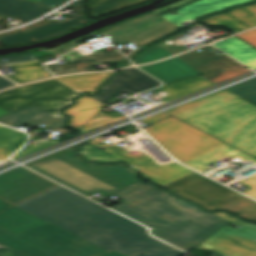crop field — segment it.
<instances>
[{"label":"crop field","instance_id":"crop-field-37","mask_svg":"<svg viewBox=\"0 0 256 256\" xmlns=\"http://www.w3.org/2000/svg\"><path fill=\"white\" fill-rule=\"evenodd\" d=\"M249 70L246 68L233 70V71H227V72H221V73H215V74H209V75H202L201 77L207 79L208 81L216 84L221 81L227 80L229 78L238 76L240 74L246 73ZM251 71V70H250Z\"/></svg>","mask_w":256,"mask_h":256},{"label":"crop field","instance_id":"crop-field-4","mask_svg":"<svg viewBox=\"0 0 256 256\" xmlns=\"http://www.w3.org/2000/svg\"><path fill=\"white\" fill-rule=\"evenodd\" d=\"M79 153L83 154L87 161L91 159H97L99 162L122 161L91 144H86ZM27 166L75 191L100 179L121 189L138 182L135 178V170L125 168L124 164H118L116 167L110 165L97 166L93 163L85 164L74 153Z\"/></svg>","mask_w":256,"mask_h":256},{"label":"crop field","instance_id":"crop-field-19","mask_svg":"<svg viewBox=\"0 0 256 256\" xmlns=\"http://www.w3.org/2000/svg\"><path fill=\"white\" fill-rule=\"evenodd\" d=\"M211 26H225L237 33L256 26V4L204 19Z\"/></svg>","mask_w":256,"mask_h":256},{"label":"crop field","instance_id":"crop-field-18","mask_svg":"<svg viewBox=\"0 0 256 256\" xmlns=\"http://www.w3.org/2000/svg\"><path fill=\"white\" fill-rule=\"evenodd\" d=\"M0 123L20 127L24 124L29 126L44 124L46 128L64 127L65 117L56 118L40 108L32 105L23 110L0 118Z\"/></svg>","mask_w":256,"mask_h":256},{"label":"crop field","instance_id":"crop-field-3","mask_svg":"<svg viewBox=\"0 0 256 256\" xmlns=\"http://www.w3.org/2000/svg\"><path fill=\"white\" fill-rule=\"evenodd\" d=\"M133 219L152 227V235L185 252L229 223L180 198Z\"/></svg>","mask_w":256,"mask_h":256},{"label":"crop field","instance_id":"crop-field-16","mask_svg":"<svg viewBox=\"0 0 256 256\" xmlns=\"http://www.w3.org/2000/svg\"><path fill=\"white\" fill-rule=\"evenodd\" d=\"M67 32L64 28L44 19L22 29L0 34V43L3 46H15L53 38Z\"/></svg>","mask_w":256,"mask_h":256},{"label":"crop field","instance_id":"crop-field-28","mask_svg":"<svg viewBox=\"0 0 256 256\" xmlns=\"http://www.w3.org/2000/svg\"><path fill=\"white\" fill-rule=\"evenodd\" d=\"M104 106L102 103L83 94L77 104L65 111V113L73 115L70 126L80 130Z\"/></svg>","mask_w":256,"mask_h":256},{"label":"crop field","instance_id":"crop-field-13","mask_svg":"<svg viewBox=\"0 0 256 256\" xmlns=\"http://www.w3.org/2000/svg\"><path fill=\"white\" fill-rule=\"evenodd\" d=\"M123 73L112 77L108 84L102 86L101 93L92 97L103 104L110 101L116 94L123 91L131 96L155 87L160 86V82L143 72L135 69L122 70Z\"/></svg>","mask_w":256,"mask_h":256},{"label":"crop field","instance_id":"crop-field-39","mask_svg":"<svg viewBox=\"0 0 256 256\" xmlns=\"http://www.w3.org/2000/svg\"><path fill=\"white\" fill-rule=\"evenodd\" d=\"M59 143V141L57 140H52V141H49V142H46V143H43V144H40V145H36V146H32V145H27L25 146L23 149H21L17 154H15L13 156L14 160H17L21 157H24L26 155H29L33 152H36L38 150H41V149H44L46 147H49L51 145H54V144H57Z\"/></svg>","mask_w":256,"mask_h":256},{"label":"crop field","instance_id":"crop-field-50","mask_svg":"<svg viewBox=\"0 0 256 256\" xmlns=\"http://www.w3.org/2000/svg\"><path fill=\"white\" fill-rule=\"evenodd\" d=\"M103 256H127V255H124V254H121L119 252H116V251H112L106 255H103Z\"/></svg>","mask_w":256,"mask_h":256},{"label":"crop field","instance_id":"crop-field-45","mask_svg":"<svg viewBox=\"0 0 256 256\" xmlns=\"http://www.w3.org/2000/svg\"><path fill=\"white\" fill-rule=\"evenodd\" d=\"M168 116H170V115L165 113V112H163V113H160V114L148 117L146 119H143V121L145 123H153L155 121H158V120L163 119V118L168 117Z\"/></svg>","mask_w":256,"mask_h":256},{"label":"crop field","instance_id":"crop-field-52","mask_svg":"<svg viewBox=\"0 0 256 256\" xmlns=\"http://www.w3.org/2000/svg\"><path fill=\"white\" fill-rule=\"evenodd\" d=\"M7 114H10V113L0 108V117Z\"/></svg>","mask_w":256,"mask_h":256},{"label":"crop field","instance_id":"crop-field-9","mask_svg":"<svg viewBox=\"0 0 256 256\" xmlns=\"http://www.w3.org/2000/svg\"><path fill=\"white\" fill-rule=\"evenodd\" d=\"M55 186L57 185L19 167L0 176V198L15 205Z\"/></svg>","mask_w":256,"mask_h":256},{"label":"crop field","instance_id":"crop-field-49","mask_svg":"<svg viewBox=\"0 0 256 256\" xmlns=\"http://www.w3.org/2000/svg\"><path fill=\"white\" fill-rule=\"evenodd\" d=\"M13 206L12 204L0 199V212L4 211L5 209Z\"/></svg>","mask_w":256,"mask_h":256},{"label":"crop field","instance_id":"crop-field-38","mask_svg":"<svg viewBox=\"0 0 256 256\" xmlns=\"http://www.w3.org/2000/svg\"><path fill=\"white\" fill-rule=\"evenodd\" d=\"M241 97L248 96L256 93V78L226 89Z\"/></svg>","mask_w":256,"mask_h":256},{"label":"crop field","instance_id":"crop-field-29","mask_svg":"<svg viewBox=\"0 0 256 256\" xmlns=\"http://www.w3.org/2000/svg\"><path fill=\"white\" fill-rule=\"evenodd\" d=\"M28 140V135L0 125V160H5Z\"/></svg>","mask_w":256,"mask_h":256},{"label":"crop field","instance_id":"crop-field-40","mask_svg":"<svg viewBox=\"0 0 256 256\" xmlns=\"http://www.w3.org/2000/svg\"><path fill=\"white\" fill-rule=\"evenodd\" d=\"M212 213H214L218 216H221L229 221H232V222L242 226L245 229H248V230L256 233V225H254V224H250V223H246L244 221L238 220V219L234 218L233 216L226 214V213H220V212H212Z\"/></svg>","mask_w":256,"mask_h":256},{"label":"crop field","instance_id":"crop-field-26","mask_svg":"<svg viewBox=\"0 0 256 256\" xmlns=\"http://www.w3.org/2000/svg\"><path fill=\"white\" fill-rule=\"evenodd\" d=\"M211 85L213 84L201 78L200 76H197V77L177 80V81L168 83V85L164 87L151 90V91L154 93H157L160 91L167 92L168 95L165 98L161 99L163 102L167 103L169 101L175 100L177 98H180L182 96L193 93L195 91H198L200 89H203Z\"/></svg>","mask_w":256,"mask_h":256},{"label":"crop field","instance_id":"crop-field-11","mask_svg":"<svg viewBox=\"0 0 256 256\" xmlns=\"http://www.w3.org/2000/svg\"><path fill=\"white\" fill-rule=\"evenodd\" d=\"M113 195L124 201L111 208L130 218L177 198L166 191H159L151 184L141 182Z\"/></svg>","mask_w":256,"mask_h":256},{"label":"crop field","instance_id":"crop-field-32","mask_svg":"<svg viewBox=\"0 0 256 256\" xmlns=\"http://www.w3.org/2000/svg\"><path fill=\"white\" fill-rule=\"evenodd\" d=\"M220 209L227 211H234L241 215V217L256 220V201L244 196Z\"/></svg>","mask_w":256,"mask_h":256},{"label":"crop field","instance_id":"crop-field-6","mask_svg":"<svg viewBox=\"0 0 256 256\" xmlns=\"http://www.w3.org/2000/svg\"><path fill=\"white\" fill-rule=\"evenodd\" d=\"M81 91L54 78L0 92V107L13 113L32 104L60 117V110L73 103Z\"/></svg>","mask_w":256,"mask_h":256},{"label":"crop field","instance_id":"crop-field-42","mask_svg":"<svg viewBox=\"0 0 256 256\" xmlns=\"http://www.w3.org/2000/svg\"><path fill=\"white\" fill-rule=\"evenodd\" d=\"M182 33H184V32H182ZM182 33H180V34H182ZM180 34H178V35H180ZM178 35H175V36H173V37H171V38H169V39H167V40L161 42L159 45H160L161 47H163L164 49L168 50L169 52H171V53L174 54V55H176V54H178V53H180V52L189 50L188 48H186V47H184V46H181V45H178V44H175V45H167V44L165 43L166 41L171 40V39L177 37ZM197 47H198V46H197ZM194 48H195V47H194ZM190 49H192V48H190Z\"/></svg>","mask_w":256,"mask_h":256},{"label":"crop field","instance_id":"crop-field-5","mask_svg":"<svg viewBox=\"0 0 256 256\" xmlns=\"http://www.w3.org/2000/svg\"><path fill=\"white\" fill-rule=\"evenodd\" d=\"M0 243L27 256H101L108 253L51 224L17 235L0 228Z\"/></svg>","mask_w":256,"mask_h":256},{"label":"crop field","instance_id":"crop-field-7","mask_svg":"<svg viewBox=\"0 0 256 256\" xmlns=\"http://www.w3.org/2000/svg\"><path fill=\"white\" fill-rule=\"evenodd\" d=\"M145 130L183 163L225 144L173 117Z\"/></svg>","mask_w":256,"mask_h":256},{"label":"crop field","instance_id":"crop-field-1","mask_svg":"<svg viewBox=\"0 0 256 256\" xmlns=\"http://www.w3.org/2000/svg\"><path fill=\"white\" fill-rule=\"evenodd\" d=\"M16 206L109 252L131 256L185 254L147 235L145 227L63 186Z\"/></svg>","mask_w":256,"mask_h":256},{"label":"crop field","instance_id":"crop-field-8","mask_svg":"<svg viewBox=\"0 0 256 256\" xmlns=\"http://www.w3.org/2000/svg\"><path fill=\"white\" fill-rule=\"evenodd\" d=\"M163 188L169 189L188 200L206 207L209 210H215L243 196L198 173Z\"/></svg>","mask_w":256,"mask_h":256},{"label":"crop field","instance_id":"crop-field-36","mask_svg":"<svg viewBox=\"0 0 256 256\" xmlns=\"http://www.w3.org/2000/svg\"><path fill=\"white\" fill-rule=\"evenodd\" d=\"M119 190L120 189H118V188H116V187H114V186H112V185H110V184L101 180V181H99L97 183H94V184H92V185H90V186H88V187H86V188H84V189H82L78 192L87 196V195H89L93 192L99 191V192L109 196V195H111V194H113V193H115Z\"/></svg>","mask_w":256,"mask_h":256},{"label":"crop field","instance_id":"crop-field-21","mask_svg":"<svg viewBox=\"0 0 256 256\" xmlns=\"http://www.w3.org/2000/svg\"><path fill=\"white\" fill-rule=\"evenodd\" d=\"M124 59H126V57L116 51L108 53L101 51L77 59L69 60L70 63L67 64L48 67V69L55 75L80 71H95L89 65L119 61Z\"/></svg>","mask_w":256,"mask_h":256},{"label":"crop field","instance_id":"crop-field-22","mask_svg":"<svg viewBox=\"0 0 256 256\" xmlns=\"http://www.w3.org/2000/svg\"><path fill=\"white\" fill-rule=\"evenodd\" d=\"M141 68L165 83L186 76L201 75L200 72L196 71L176 57L156 64L141 66Z\"/></svg>","mask_w":256,"mask_h":256},{"label":"crop field","instance_id":"crop-field-14","mask_svg":"<svg viewBox=\"0 0 256 256\" xmlns=\"http://www.w3.org/2000/svg\"><path fill=\"white\" fill-rule=\"evenodd\" d=\"M2 59L7 61L3 62ZM5 65L15 71L14 75L8 78L18 83L51 76L31 53L0 57V66ZM11 86L15 84L3 77L0 78V90Z\"/></svg>","mask_w":256,"mask_h":256},{"label":"crop field","instance_id":"crop-field-23","mask_svg":"<svg viewBox=\"0 0 256 256\" xmlns=\"http://www.w3.org/2000/svg\"><path fill=\"white\" fill-rule=\"evenodd\" d=\"M45 224L48 223L15 206L0 214V227L14 234Z\"/></svg>","mask_w":256,"mask_h":256},{"label":"crop field","instance_id":"crop-field-55","mask_svg":"<svg viewBox=\"0 0 256 256\" xmlns=\"http://www.w3.org/2000/svg\"><path fill=\"white\" fill-rule=\"evenodd\" d=\"M4 19H6V18L0 16V21H1V20H4Z\"/></svg>","mask_w":256,"mask_h":256},{"label":"crop field","instance_id":"crop-field-31","mask_svg":"<svg viewBox=\"0 0 256 256\" xmlns=\"http://www.w3.org/2000/svg\"><path fill=\"white\" fill-rule=\"evenodd\" d=\"M150 0H90L87 3L92 10L91 17L106 15Z\"/></svg>","mask_w":256,"mask_h":256},{"label":"crop field","instance_id":"crop-field-53","mask_svg":"<svg viewBox=\"0 0 256 256\" xmlns=\"http://www.w3.org/2000/svg\"><path fill=\"white\" fill-rule=\"evenodd\" d=\"M131 65H132L131 62L129 61V62L125 63V64H121L118 68L125 67V66H131Z\"/></svg>","mask_w":256,"mask_h":256},{"label":"crop field","instance_id":"crop-field-2","mask_svg":"<svg viewBox=\"0 0 256 256\" xmlns=\"http://www.w3.org/2000/svg\"><path fill=\"white\" fill-rule=\"evenodd\" d=\"M256 158V105L226 90L166 111Z\"/></svg>","mask_w":256,"mask_h":256},{"label":"crop field","instance_id":"crop-field-25","mask_svg":"<svg viewBox=\"0 0 256 256\" xmlns=\"http://www.w3.org/2000/svg\"><path fill=\"white\" fill-rule=\"evenodd\" d=\"M178 28L179 27L165 20L163 22L157 23L155 25L149 26L147 28L141 29L139 31L112 40V42L117 45L134 42L136 44L143 46L151 40L164 36Z\"/></svg>","mask_w":256,"mask_h":256},{"label":"crop field","instance_id":"crop-field-20","mask_svg":"<svg viewBox=\"0 0 256 256\" xmlns=\"http://www.w3.org/2000/svg\"><path fill=\"white\" fill-rule=\"evenodd\" d=\"M252 0H201L192 5L177 10L179 14H166L162 17L166 18L175 25H180L182 22L194 19L202 14L226 9L240 3L249 2Z\"/></svg>","mask_w":256,"mask_h":256},{"label":"crop field","instance_id":"crop-field-30","mask_svg":"<svg viewBox=\"0 0 256 256\" xmlns=\"http://www.w3.org/2000/svg\"><path fill=\"white\" fill-rule=\"evenodd\" d=\"M115 72H117V71H115ZM111 75H112V72L97 73V74H81V75L60 77L58 79L81 90L82 92L86 91L89 94H94V93H96L95 88L97 86H99L100 84L104 83L106 81V79Z\"/></svg>","mask_w":256,"mask_h":256},{"label":"crop field","instance_id":"crop-field-48","mask_svg":"<svg viewBox=\"0 0 256 256\" xmlns=\"http://www.w3.org/2000/svg\"><path fill=\"white\" fill-rule=\"evenodd\" d=\"M190 1H192V0H183V1L179 2V3L174 4V5L167 6V7H165V8L159 9V10H157V11H155V12H156V13H161V12H163V11H165V10H168V9H170V8H173V7H175V6H178V5H181V4L190 2Z\"/></svg>","mask_w":256,"mask_h":256},{"label":"crop field","instance_id":"crop-field-44","mask_svg":"<svg viewBox=\"0 0 256 256\" xmlns=\"http://www.w3.org/2000/svg\"><path fill=\"white\" fill-rule=\"evenodd\" d=\"M30 1L55 8L67 0H30Z\"/></svg>","mask_w":256,"mask_h":256},{"label":"crop field","instance_id":"crop-field-54","mask_svg":"<svg viewBox=\"0 0 256 256\" xmlns=\"http://www.w3.org/2000/svg\"><path fill=\"white\" fill-rule=\"evenodd\" d=\"M3 248H7V247L0 244V249H3Z\"/></svg>","mask_w":256,"mask_h":256},{"label":"crop field","instance_id":"crop-field-41","mask_svg":"<svg viewBox=\"0 0 256 256\" xmlns=\"http://www.w3.org/2000/svg\"><path fill=\"white\" fill-rule=\"evenodd\" d=\"M93 34H94V35H97V34H99V33L95 31V32H93V33H91V34H89V35H87V36H85V37H82V38H80V39H77V40H74V41H72V42H69V43H67V44H65V45H62V46L58 47V48L52 49V51H53L57 56H59V55L65 53V52H67V51L73 49L78 41L83 40V39L88 38V37H91Z\"/></svg>","mask_w":256,"mask_h":256},{"label":"crop field","instance_id":"crop-field-17","mask_svg":"<svg viewBox=\"0 0 256 256\" xmlns=\"http://www.w3.org/2000/svg\"><path fill=\"white\" fill-rule=\"evenodd\" d=\"M222 157H234V158L241 157V160H243V161L251 160V161L256 162V159L225 144L217 149H214V150H212L206 154H203L195 159H192L184 164H186L200 172H203V171L209 169L208 167H206L207 165L221 159ZM241 183L251 187L252 189L245 193L256 198V175L251 176V177L241 181Z\"/></svg>","mask_w":256,"mask_h":256},{"label":"crop field","instance_id":"crop-field-24","mask_svg":"<svg viewBox=\"0 0 256 256\" xmlns=\"http://www.w3.org/2000/svg\"><path fill=\"white\" fill-rule=\"evenodd\" d=\"M53 9L27 0H0V15L18 17L23 21L32 20L44 12Z\"/></svg>","mask_w":256,"mask_h":256},{"label":"crop field","instance_id":"crop-field-15","mask_svg":"<svg viewBox=\"0 0 256 256\" xmlns=\"http://www.w3.org/2000/svg\"><path fill=\"white\" fill-rule=\"evenodd\" d=\"M200 49L203 51L199 52L197 49L177 57L203 74L245 67L224 53L217 55L211 52L210 50L215 49L211 45Z\"/></svg>","mask_w":256,"mask_h":256},{"label":"crop field","instance_id":"crop-field-51","mask_svg":"<svg viewBox=\"0 0 256 256\" xmlns=\"http://www.w3.org/2000/svg\"><path fill=\"white\" fill-rule=\"evenodd\" d=\"M244 98L256 104V94Z\"/></svg>","mask_w":256,"mask_h":256},{"label":"crop field","instance_id":"crop-field-27","mask_svg":"<svg viewBox=\"0 0 256 256\" xmlns=\"http://www.w3.org/2000/svg\"><path fill=\"white\" fill-rule=\"evenodd\" d=\"M215 47L256 70V49L236 37L214 44Z\"/></svg>","mask_w":256,"mask_h":256},{"label":"crop field","instance_id":"crop-field-43","mask_svg":"<svg viewBox=\"0 0 256 256\" xmlns=\"http://www.w3.org/2000/svg\"><path fill=\"white\" fill-rule=\"evenodd\" d=\"M242 39L246 40L247 42L251 43L252 45L256 46V31H250L241 35H238Z\"/></svg>","mask_w":256,"mask_h":256},{"label":"crop field","instance_id":"crop-field-33","mask_svg":"<svg viewBox=\"0 0 256 256\" xmlns=\"http://www.w3.org/2000/svg\"><path fill=\"white\" fill-rule=\"evenodd\" d=\"M126 118L125 116L115 112L112 114H105L103 111H99L89 122L88 124L81 129V133L84 134L92 129L100 127L105 124L116 122L118 120Z\"/></svg>","mask_w":256,"mask_h":256},{"label":"crop field","instance_id":"crop-field-34","mask_svg":"<svg viewBox=\"0 0 256 256\" xmlns=\"http://www.w3.org/2000/svg\"><path fill=\"white\" fill-rule=\"evenodd\" d=\"M85 1H87V0H80L72 5L68 6V7L72 8L73 10H75L76 12H78L79 14L76 15L75 18L64 20V21L60 22L59 24L65 28L71 30V29H75L85 23L92 21V20L88 19L87 16L85 15V10L83 8Z\"/></svg>","mask_w":256,"mask_h":256},{"label":"crop field","instance_id":"crop-field-46","mask_svg":"<svg viewBox=\"0 0 256 256\" xmlns=\"http://www.w3.org/2000/svg\"><path fill=\"white\" fill-rule=\"evenodd\" d=\"M0 256H25L11 248L0 251Z\"/></svg>","mask_w":256,"mask_h":256},{"label":"crop field","instance_id":"crop-field-47","mask_svg":"<svg viewBox=\"0 0 256 256\" xmlns=\"http://www.w3.org/2000/svg\"><path fill=\"white\" fill-rule=\"evenodd\" d=\"M91 144L95 145V146H98V147H104L106 145H109L107 144L105 141H103L101 138H95L91 141H89Z\"/></svg>","mask_w":256,"mask_h":256},{"label":"crop field","instance_id":"crop-field-35","mask_svg":"<svg viewBox=\"0 0 256 256\" xmlns=\"http://www.w3.org/2000/svg\"><path fill=\"white\" fill-rule=\"evenodd\" d=\"M173 56L168 51L156 45L146 49L136 59L132 60L136 64L152 62L165 57Z\"/></svg>","mask_w":256,"mask_h":256},{"label":"crop field","instance_id":"crop-field-12","mask_svg":"<svg viewBox=\"0 0 256 256\" xmlns=\"http://www.w3.org/2000/svg\"><path fill=\"white\" fill-rule=\"evenodd\" d=\"M196 249L213 251L220 256H256V234L227 226Z\"/></svg>","mask_w":256,"mask_h":256},{"label":"crop field","instance_id":"crop-field-10","mask_svg":"<svg viewBox=\"0 0 256 256\" xmlns=\"http://www.w3.org/2000/svg\"><path fill=\"white\" fill-rule=\"evenodd\" d=\"M104 151L126 161L130 166L137 167L143 178L163 187L194 171L177 163L159 166L148 155L132 156L128 151L111 144Z\"/></svg>","mask_w":256,"mask_h":256}]
</instances>
